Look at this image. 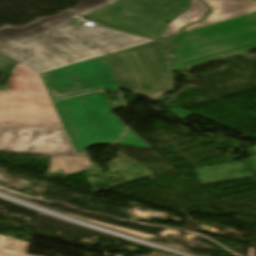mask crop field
Instances as JSON below:
<instances>
[{
    "instance_id": "8a807250",
    "label": "crop field",
    "mask_w": 256,
    "mask_h": 256,
    "mask_svg": "<svg viewBox=\"0 0 256 256\" xmlns=\"http://www.w3.org/2000/svg\"><path fill=\"white\" fill-rule=\"evenodd\" d=\"M75 14L66 10L21 27L4 25L0 28V51L40 73L151 41L111 31L99 24L79 28L68 21L16 44Z\"/></svg>"
},
{
    "instance_id": "ac0d7876",
    "label": "crop field",
    "mask_w": 256,
    "mask_h": 256,
    "mask_svg": "<svg viewBox=\"0 0 256 256\" xmlns=\"http://www.w3.org/2000/svg\"><path fill=\"white\" fill-rule=\"evenodd\" d=\"M256 47V12L184 33L175 49L174 70Z\"/></svg>"
},
{
    "instance_id": "34b2d1b8",
    "label": "crop field",
    "mask_w": 256,
    "mask_h": 256,
    "mask_svg": "<svg viewBox=\"0 0 256 256\" xmlns=\"http://www.w3.org/2000/svg\"><path fill=\"white\" fill-rule=\"evenodd\" d=\"M69 139L80 154L91 145L109 144L127 128L107 110H113L105 92L54 100Z\"/></svg>"
},
{
    "instance_id": "412701ff",
    "label": "crop field",
    "mask_w": 256,
    "mask_h": 256,
    "mask_svg": "<svg viewBox=\"0 0 256 256\" xmlns=\"http://www.w3.org/2000/svg\"><path fill=\"white\" fill-rule=\"evenodd\" d=\"M0 126L63 128L39 74L20 63L0 91Z\"/></svg>"
},
{
    "instance_id": "f4fd0767",
    "label": "crop field",
    "mask_w": 256,
    "mask_h": 256,
    "mask_svg": "<svg viewBox=\"0 0 256 256\" xmlns=\"http://www.w3.org/2000/svg\"><path fill=\"white\" fill-rule=\"evenodd\" d=\"M189 5L190 0H119L84 17L108 28L156 40Z\"/></svg>"
},
{
    "instance_id": "dd49c442",
    "label": "crop field",
    "mask_w": 256,
    "mask_h": 256,
    "mask_svg": "<svg viewBox=\"0 0 256 256\" xmlns=\"http://www.w3.org/2000/svg\"><path fill=\"white\" fill-rule=\"evenodd\" d=\"M166 41L164 38L105 55L120 89L158 100L173 87L174 79L154 45Z\"/></svg>"
},
{
    "instance_id": "e52e79f7",
    "label": "crop field",
    "mask_w": 256,
    "mask_h": 256,
    "mask_svg": "<svg viewBox=\"0 0 256 256\" xmlns=\"http://www.w3.org/2000/svg\"><path fill=\"white\" fill-rule=\"evenodd\" d=\"M0 152L51 156L48 173L81 169L65 129L0 127Z\"/></svg>"
},
{
    "instance_id": "d8731c3e",
    "label": "crop field",
    "mask_w": 256,
    "mask_h": 256,
    "mask_svg": "<svg viewBox=\"0 0 256 256\" xmlns=\"http://www.w3.org/2000/svg\"><path fill=\"white\" fill-rule=\"evenodd\" d=\"M53 98L102 89H119L105 56L40 73Z\"/></svg>"
},
{
    "instance_id": "5a996713",
    "label": "crop field",
    "mask_w": 256,
    "mask_h": 256,
    "mask_svg": "<svg viewBox=\"0 0 256 256\" xmlns=\"http://www.w3.org/2000/svg\"><path fill=\"white\" fill-rule=\"evenodd\" d=\"M212 11L203 22L184 28V32L213 24L235 16L256 11L253 0H203Z\"/></svg>"
},
{
    "instance_id": "3316defc",
    "label": "crop field",
    "mask_w": 256,
    "mask_h": 256,
    "mask_svg": "<svg viewBox=\"0 0 256 256\" xmlns=\"http://www.w3.org/2000/svg\"><path fill=\"white\" fill-rule=\"evenodd\" d=\"M246 165L234 163L196 170L203 185L254 177L253 173L246 171Z\"/></svg>"
},
{
    "instance_id": "28ad6ade",
    "label": "crop field",
    "mask_w": 256,
    "mask_h": 256,
    "mask_svg": "<svg viewBox=\"0 0 256 256\" xmlns=\"http://www.w3.org/2000/svg\"><path fill=\"white\" fill-rule=\"evenodd\" d=\"M208 9L198 0H192L190 9L180 15L176 20L169 24L162 37L176 34L180 32L181 28L191 22L201 20L207 13Z\"/></svg>"
},
{
    "instance_id": "d1516ede",
    "label": "crop field",
    "mask_w": 256,
    "mask_h": 256,
    "mask_svg": "<svg viewBox=\"0 0 256 256\" xmlns=\"http://www.w3.org/2000/svg\"><path fill=\"white\" fill-rule=\"evenodd\" d=\"M28 243L0 236V252L26 254Z\"/></svg>"
},
{
    "instance_id": "22f410ed",
    "label": "crop field",
    "mask_w": 256,
    "mask_h": 256,
    "mask_svg": "<svg viewBox=\"0 0 256 256\" xmlns=\"http://www.w3.org/2000/svg\"><path fill=\"white\" fill-rule=\"evenodd\" d=\"M115 144L150 149L148 145H146L140 138H138L129 129Z\"/></svg>"
},
{
    "instance_id": "cbeb9de0",
    "label": "crop field",
    "mask_w": 256,
    "mask_h": 256,
    "mask_svg": "<svg viewBox=\"0 0 256 256\" xmlns=\"http://www.w3.org/2000/svg\"><path fill=\"white\" fill-rule=\"evenodd\" d=\"M114 0H80L79 7L74 9L80 16L97 8L105 5Z\"/></svg>"
},
{
    "instance_id": "5142ce71",
    "label": "crop field",
    "mask_w": 256,
    "mask_h": 256,
    "mask_svg": "<svg viewBox=\"0 0 256 256\" xmlns=\"http://www.w3.org/2000/svg\"><path fill=\"white\" fill-rule=\"evenodd\" d=\"M178 36H179V34L171 36V37H167L169 42L156 45L157 49L159 50L161 56L163 57L165 63L167 64L168 68H169V63H170V59H171V50H172L174 43Z\"/></svg>"
},
{
    "instance_id": "d9b57169",
    "label": "crop field",
    "mask_w": 256,
    "mask_h": 256,
    "mask_svg": "<svg viewBox=\"0 0 256 256\" xmlns=\"http://www.w3.org/2000/svg\"><path fill=\"white\" fill-rule=\"evenodd\" d=\"M19 62L0 52V71L9 75Z\"/></svg>"
},
{
    "instance_id": "733c2abd",
    "label": "crop field",
    "mask_w": 256,
    "mask_h": 256,
    "mask_svg": "<svg viewBox=\"0 0 256 256\" xmlns=\"http://www.w3.org/2000/svg\"><path fill=\"white\" fill-rule=\"evenodd\" d=\"M83 152H84V151H83ZM78 158H79V162H80V164H81V167H84V166H87V165L90 164V163H89V160H88V158H87L86 152H84V153L78 155Z\"/></svg>"
},
{
    "instance_id": "4a817a6b",
    "label": "crop field",
    "mask_w": 256,
    "mask_h": 256,
    "mask_svg": "<svg viewBox=\"0 0 256 256\" xmlns=\"http://www.w3.org/2000/svg\"><path fill=\"white\" fill-rule=\"evenodd\" d=\"M247 151H248V153L254 154L253 151L251 150V148H248ZM255 156H256V155L254 154V157H255ZM254 157L248 159L247 162H248L249 164L253 165L254 167H253L252 169H253L254 171H256V162L253 160Z\"/></svg>"
},
{
    "instance_id": "bc2a9ffb",
    "label": "crop field",
    "mask_w": 256,
    "mask_h": 256,
    "mask_svg": "<svg viewBox=\"0 0 256 256\" xmlns=\"http://www.w3.org/2000/svg\"><path fill=\"white\" fill-rule=\"evenodd\" d=\"M0 256H26V255H20V254H8V253H0Z\"/></svg>"
},
{
    "instance_id": "214f88e0",
    "label": "crop field",
    "mask_w": 256,
    "mask_h": 256,
    "mask_svg": "<svg viewBox=\"0 0 256 256\" xmlns=\"http://www.w3.org/2000/svg\"><path fill=\"white\" fill-rule=\"evenodd\" d=\"M252 150L255 152V154H256V146H254L253 148H252ZM255 159V161H256V157L254 158Z\"/></svg>"
},
{
    "instance_id": "92a150f3",
    "label": "crop field",
    "mask_w": 256,
    "mask_h": 256,
    "mask_svg": "<svg viewBox=\"0 0 256 256\" xmlns=\"http://www.w3.org/2000/svg\"><path fill=\"white\" fill-rule=\"evenodd\" d=\"M28 256V255H27Z\"/></svg>"
}]
</instances>
